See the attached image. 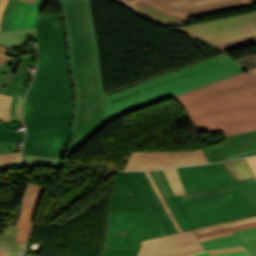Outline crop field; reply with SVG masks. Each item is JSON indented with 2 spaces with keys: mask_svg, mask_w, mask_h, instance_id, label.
<instances>
[{
  "mask_svg": "<svg viewBox=\"0 0 256 256\" xmlns=\"http://www.w3.org/2000/svg\"><path fill=\"white\" fill-rule=\"evenodd\" d=\"M227 141L203 148L209 162L256 154V131L226 137Z\"/></svg>",
  "mask_w": 256,
  "mask_h": 256,
  "instance_id": "12",
  "label": "crop field"
},
{
  "mask_svg": "<svg viewBox=\"0 0 256 256\" xmlns=\"http://www.w3.org/2000/svg\"><path fill=\"white\" fill-rule=\"evenodd\" d=\"M151 177L153 178L154 182L156 183L158 189L160 190L161 194L163 195L165 201L170 200L169 195L157 173V171H149Z\"/></svg>",
  "mask_w": 256,
  "mask_h": 256,
  "instance_id": "32",
  "label": "crop field"
},
{
  "mask_svg": "<svg viewBox=\"0 0 256 256\" xmlns=\"http://www.w3.org/2000/svg\"><path fill=\"white\" fill-rule=\"evenodd\" d=\"M188 118L256 106V78L248 72L174 97Z\"/></svg>",
  "mask_w": 256,
  "mask_h": 256,
  "instance_id": "6",
  "label": "crop field"
},
{
  "mask_svg": "<svg viewBox=\"0 0 256 256\" xmlns=\"http://www.w3.org/2000/svg\"><path fill=\"white\" fill-rule=\"evenodd\" d=\"M146 174H147V176H148V178H149V180H150V182H151V184H152V186H153L155 192L157 193V195H158L160 201L162 202L164 208L166 209V211H167V213L169 214L171 220L173 221L174 225L176 226L178 232H180L181 229H180L179 225L177 224V222H176L174 216L172 215V213H171L170 209L168 208L166 202L164 201L162 195L160 194V192H159V190L157 189L155 183L153 182L152 178L150 177L148 171H146Z\"/></svg>",
  "mask_w": 256,
  "mask_h": 256,
  "instance_id": "31",
  "label": "crop field"
},
{
  "mask_svg": "<svg viewBox=\"0 0 256 256\" xmlns=\"http://www.w3.org/2000/svg\"><path fill=\"white\" fill-rule=\"evenodd\" d=\"M8 0H0V17L3 13L4 6Z\"/></svg>",
  "mask_w": 256,
  "mask_h": 256,
  "instance_id": "44",
  "label": "crop field"
},
{
  "mask_svg": "<svg viewBox=\"0 0 256 256\" xmlns=\"http://www.w3.org/2000/svg\"><path fill=\"white\" fill-rule=\"evenodd\" d=\"M254 221H256V216L246 218V219H239V220H235V221H230V222H226V223H222V224H218V225H214V226H210V227H206V228H202V229H197V230H191V231H185V232H181V233H177V234H172V235L164 236L162 238L145 241L142 244L152 242V241L161 240V239H165V238H169V237H174V236H178V235H182V234H186V233H190V232H194V231L196 232V234H199V233H204V232H208V231H213V230H218V229H222V228L241 225V224H245V223H250V222H254Z\"/></svg>",
  "mask_w": 256,
  "mask_h": 256,
  "instance_id": "22",
  "label": "crop field"
},
{
  "mask_svg": "<svg viewBox=\"0 0 256 256\" xmlns=\"http://www.w3.org/2000/svg\"><path fill=\"white\" fill-rule=\"evenodd\" d=\"M198 132L224 131L225 137L256 130V107L190 119Z\"/></svg>",
  "mask_w": 256,
  "mask_h": 256,
  "instance_id": "9",
  "label": "crop field"
},
{
  "mask_svg": "<svg viewBox=\"0 0 256 256\" xmlns=\"http://www.w3.org/2000/svg\"><path fill=\"white\" fill-rule=\"evenodd\" d=\"M17 122H0V139L24 137L20 132L16 133Z\"/></svg>",
  "mask_w": 256,
  "mask_h": 256,
  "instance_id": "27",
  "label": "crop field"
},
{
  "mask_svg": "<svg viewBox=\"0 0 256 256\" xmlns=\"http://www.w3.org/2000/svg\"><path fill=\"white\" fill-rule=\"evenodd\" d=\"M72 67L75 111L72 132L96 133L108 123L91 0H58Z\"/></svg>",
  "mask_w": 256,
  "mask_h": 256,
  "instance_id": "2",
  "label": "crop field"
},
{
  "mask_svg": "<svg viewBox=\"0 0 256 256\" xmlns=\"http://www.w3.org/2000/svg\"><path fill=\"white\" fill-rule=\"evenodd\" d=\"M20 229L19 227L10 225L5 235L0 234V247L22 253L25 243L15 242Z\"/></svg>",
  "mask_w": 256,
  "mask_h": 256,
  "instance_id": "20",
  "label": "crop field"
},
{
  "mask_svg": "<svg viewBox=\"0 0 256 256\" xmlns=\"http://www.w3.org/2000/svg\"><path fill=\"white\" fill-rule=\"evenodd\" d=\"M130 5L137 13L164 25L190 21L184 17L174 15L154 5H151L143 0L130 2Z\"/></svg>",
  "mask_w": 256,
  "mask_h": 256,
  "instance_id": "17",
  "label": "crop field"
},
{
  "mask_svg": "<svg viewBox=\"0 0 256 256\" xmlns=\"http://www.w3.org/2000/svg\"><path fill=\"white\" fill-rule=\"evenodd\" d=\"M106 248L138 250L141 242L164 236L131 173L114 176Z\"/></svg>",
  "mask_w": 256,
  "mask_h": 256,
  "instance_id": "5",
  "label": "crop field"
},
{
  "mask_svg": "<svg viewBox=\"0 0 256 256\" xmlns=\"http://www.w3.org/2000/svg\"><path fill=\"white\" fill-rule=\"evenodd\" d=\"M21 59L7 60L0 66V92L13 77Z\"/></svg>",
  "mask_w": 256,
  "mask_h": 256,
  "instance_id": "24",
  "label": "crop field"
},
{
  "mask_svg": "<svg viewBox=\"0 0 256 256\" xmlns=\"http://www.w3.org/2000/svg\"><path fill=\"white\" fill-rule=\"evenodd\" d=\"M234 236L203 241L206 251L243 246L250 256H256V228L233 232Z\"/></svg>",
  "mask_w": 256,
  "mask_h": 256,
  "instance_id": "15",
  "label": "crop field"
},
{
  "mask_svg": "<svg viewBox=\"0 0 256 256\" xmlns=\"http://www.w3.org/2000/svg\"><path fill=\"white\" fill-rule=\"evenodd\" d=\"M175 166L173 152H134L125 170H148Z\"/></svg>",
  "mask_w": 256,
  "mask_h": 256,
  "instance_id": "16",
  "label": "crop field"
},
{
  "mask_svg": "<svg viewBox=\"0 0 256 256\" xmlns=\"http://www.w3.org/2000/svg\"><path fill=\"white\" fill-rule=\"evenodd\" d=\"M20 1H24V2H28V3L34 4V2H35L36 0H20Z\"/></svg>",
  "mask_w": 256,
  "mask_h": 256,
  "instance_id": "48",
  "label": "crop field"
},
{
  "mask_svg": "<svg viewBox=\"0 0 256 256\" xmlns=\"http://www.w3.org/2000/svg\"><path fill=\"white\" fill-rule=\"evenodd\" d=\"M231 235H232L231 232L224 233V234H219V235H213V236H208V237L200 238V241L208 240V239H214V238H219V237H225V236H231Z\"/></svg>",
  "mask_w": 256,
  "mask_h": 256,
  "instance_id": "43",
  "label": "crop field"
},
{
  "mask_svg": "<svg viewBox=\"0 0 256 256\" xmlns=\"http://www.w3.org/2000/svg\"><path fill=\"white\" fill-rule=\"evenodd\" d=\"M9 256H20V255L10 252V253H9Z\"/></svg>",
  "mask_w": 256,
  "mask_h": 256,
  "instance_id": "50",
  "label": "crop field"
},
{
  "mask_svg": "<svg viewBox=\"0 0 256 256\" xmlns=\"http://www.w3.org/2000/svg\"><path fill=\"white\" fill-rule=\"evenodd\" d=\"M127 2L131 1V0H126Z\"/></svg>",
  "mask_w": 256,
  "mask_h": 256,
  "instance_id": "52",
  "label": "crop field"
},
{
  "mask_svg": "<svg viewBox=\"0 0 256 256\" xmlns=\"http://www.w3.org/2000/svg\"><path fill=\"white\" fill-rule=\"evenodd\" d=\"M251 202L256 206V179L237 183Z\"/></svg>",
  "mask_w": 256,
  "mask_h": 256,
  "instance_id": "29",
  "label": "crop field"
},
{
  "mask_svg": "<svg viewBox=\"0 0 256 256\" xmlns=\"http://www.w3.org/2000/svg\"><path fill=\"white\" fill-rule=\"evenodd\" d=\"M43 189V186L29 183L23 196L22 205L36 207Z\"/></svg>",
  "mask_w": 256,
  "mask_h": 256,
  "instance_id": "25",
  "label": "crop field"
},
{
  "mask_svg": "<svg viewBox=\"0 0 256 256\" xmlns=\"http://www.w3.org/2000/svg\"><path fill=\"white\" fill-rule=\"evenodd\" d=\"M19 166V163L4 165L5 168Z\"/></svg>",
  "mask_w": 256,
  "mask_h": 256,
  "instance_id": "46",
  "label": "crop field"
},
{
  "mask_svg": "<svg viewBox=\"0 0 256 256\" xmlns=\"http://www.w3.org/2000/svg\"><path fill=\"white\" fill-rule=\"evenodd\" d=\"M132 174L150 211L152 212L163 233L165 235L176 233V228L174 227L172 221L170 220L157 195L155 194L145 172H132Z\"/></svg>",
  "mask_w": 256,
  "mask_h": 256,
  "instance_id": "14",
  "label": "crop field"
},
{
  "mask_svg": "<svg viewBox=\"0 0 256 256\" xmlns=\"http://www.w3.org/2000/svg\"><path fill=\"white\" fill-rule=\"evenodd\" d=\"M24 138L0 140V154L13 152L11 142L23 141Z\"/></svg>",
  "mask_w": 256,
  "mask_h": 256,
  "instance_id": "35",
  "label": "crop field"
},
{
  "mask_svg": "<svg viewBox=\"0 0 256 256\" xmlns=\"http://www.w3.org/2000/svg\"><path fill=\"white\" fill-rule=\"evenodd\" d=\"M8 251L0 249V256H8Z\"/></svg>",
  "mask_w": 256,
  "mask_h": 256,
  "instance_id": "45",
  "label": "crop field"
},
{
  "mask_svg": "<svg viewBox=\"0 0 256 256\" xmlns=\"http://www.w3.org/2000/svg\"><path fill=\"white\" fill-rule=\"evenodd\" d=\"M176 195L185 193L175 168L164 170Z\"/></svg>",
  "mask_w": 256,
  "mask_h": 256,
  "instance_id": "28",
  "label": "crop field"
},
{
  "mask_svg": "<svg viewBox=\"0 0 256 256\" xmlns=\"http://www.w3.org/2000/svg\"><path fill=\"white\" fill-rule=\"evenodd\" d=\"M194 233L141 246L138 256H188L203 252Z\"/></svg>",
  "mask_w": 256,
  "mask_h": 256,
  "instance_id": "13",
  "label": "crop field"
},
{
  "mask_svg": "<svg viewBox=\"0 0 256 256\" xmlns=\"http://www.w3.org/2000/svg\"><path fill=\"white\" fill-rule=\"evenodd\" d=\"M158 172H159V174H160V176H161V178H162V180H163V182H164V184H165V186H166V188H167L169 194H170L171 196H173L174 193H173V191H172V189H171V187H170V185H169V183H168V181H167V179H166V177H165L163 171L160 170V171H158Z\"/></svg>",
  "mask_w": 256,
  "mask_h": 256,
  "instance_id": "40",
  "label": "crop field"
},
{
  "mask_svg": "<svg viewBox=\"0 0 256 256\" xmlns=\"http://www.w3.org/2000/svg\"><path fill=\"white\" fill-rule=\"evenodd\" d=\"M8 51L7 48L0 45V65L4 63L7 59H14L12 56L4 55Z\"/></svg>",
  "mask_w": 256,
  "mask_h": 256,
  "instance_id": "39",
  "label": "crop field"
},
{
  "mask_svg": "<svg viewBox=\"0 0 256 256\" xmlns=\"http://www.w3.org/2000/svg\"><path fill=\"white\" fill-rule=\"evenodd\" d=\"M21 152L0 155V165L19 162Z\"/></svg>",
  "mask_w": 256,
  "mask_h": 256,
  "instance_id": "36",
  "label": "crop field"
},
{
  "mask_svg": "<svg viewBox=\"0 0 256 256\" xmlns=\"http://www.w3.org/2000/svg\"><path fill=\"white\" fill-rule=\"evenodd\" d=\"M247 4L255 3L256 0H245Z\"/></svg>",
  "mask_w": 256,
  "mask_h": 256,
  "instance_id": "49",
  "label": "crop field"
},
{
  "mask_svg": "<svg viewBox=\"0 0 256 256\" xmlns=\"http://www.w3.org/2000/svg\"><path fill=\"white\" fill-rule=\"evenodd\" d=\"M175 163L178 165L207 163L208 160L202 149L196 151L174 152Z\"/></svg>",
  "mask_w": 256,
  "mask_h": 256,
  "instance_id": "21",
  "label": "crop field"
},
{
  "mask_svg": "<svg viewBox=\"0 0 256 256\" xmlns=\"http://www.w3.org/2000/svg\"><path fill=\"white\" fill-rule=\"evenodd\" d=\"M47 0H37L34 5L9 0L1 18V31L36 28L40 11Z\"/></svg>",
  "mask_w": 256,
  "mask_h": 256,
  "instance_id": "11",
  "label": "crop field"
},
{
  "mask_svg": "<svg viewBox=\"0 0 256 256\" xmlns=\"http://www.w3.org/2000/svg\"><path fill=\"white\" fill-rule=\"evenodd\" d=\"M32 38H35V30L0 33V44L10 49L6 55L22 58L16 74L1 92L2 94L14 96L11 102V121H14V109L16 101L18 97L24 98L33 77V74L24 73L25 67L26 65L34 67L37 65L36 62L32 61L35 55L31 53L21 56L15 53L13 48H19L26 45L28 39Z\"/></svg>",
  "mask_w": 256,
  "mask_h": 256,
  "instance_id": "8",
  "label": "crop field"
},
{
  "mask_svg": "<svg viewBox=\"0 0 256 256\" xmlns=\"http://www.w3.org/2000/svg\"><path fill=\"white\" fill-rule=\"evenodd\" d=\"M186 18L237 9L246 6L244 0H145Z\"/></svg>",
  "mask_w": 256,
  "mask_h": 256,
  "instance_id": "10",
  "label": "crop field"
},
{
  "mask_svg": "<svg viewBox=\"0 0 256 256\" xmlns=\"http://www.w3.org/2000/svg\"><path fill=\"white\" fill-rule=\"evenodd\" d=\"M251 227H256V222L241 225V226H236V227H232V228L222 229V230H218V231L208 232V233H204V234H199L197 236H198V238H200V237H204V236H208V235L224 233V232H229V231H234V230H239V229H245V228H251Z\"/></svg>",
  "mask_w": 256,
  "mask_h": 256,
  "instance_id": "33",
  "label": "crop field"
},
{
  "mask_svg": "<svg viewBox=\"0 0 256 256\" xmlns=\"http://www.w3.org/2000/svg\"><path fill=\"white\" fill-rule=\"evenodd\" d=\"M244 255H248L246 253V251L234 252V253L223 254V255H214V256H244ZM193 256H209V255L207 254V252H203V253L196 254V255H193Z\"/></svg>",
  "mask_w": 256,
  "mask_h": 256,
  "instance_id": "38",
  "label": "crop field"
},
{
  "mask_svg": "<svg viewBox=\"0 0 256 256\" xmlns=\"http://www.w3.org/2000/svg\"><path fill=\"white\" fill-rule=\"evenodd\" d=\"M60 159L23 155L22 165H58Z\"/></svg>",
  "mask_w": 256,
  "mask_h": 256,
  "instance_id": "26",
  "label": "crop field"
},
{
  "mask_svg": "<svg viewBox=\"0 0 256 256\" xmlns=\"http://www.w3.org/2000/svg\"><path fill=\"white\" fill-rule=\"evenodd\" d=\"M137 251L106 249L103 256H135Z\"/></svg>",
  "mask_w": 256,
  "mask_h": 256,
  "instance_id": "34",
  "label": "crop field"
},
{
  "mask_svg": "<svg viewBox=\"0 0 256 256\" xmlns=\"http://www.w3.org/2000/svg\"><path fill=\"white\" fill-rule=\"evenodd\" d=\"M33 207L22 206V214L16 226L22 227L16 241L25 242L35 213Z\"/></svg>",
  "mask_w": 256,
  "mask_h": 256,
  "instance_id": "23",
  "label": "crop field"
},
{
  "mask_svg": "<svg viewBox=\"0 0 256 256\" xmlns=\"http://www.w3.org/2000/svg\"><path fill=\"white\" fill-rule=\"evenodd\" d=\"M37 44L40 63L23 111L27 128L23 154L62 158L73 112L60 15L41 14Z\"/></svg>",
  "mask_w": 256,
  "mask_h": 256,
  "instance_id": "1",
  "label": "crop field"
},
{
  "mask_svg": "<svg viewBox=\"0 0 256 256\" xmlns=\"http://www.w3.org/2000/svg\"><path fill=\"white\" fill-rule=\"evenodd\" d=\"M241 250H244V249H242V248H235V249H227V250H219V251H210L208 253H209V255H213V254L230 253V252L241 251Z\"/></svg>",
  "mask_w": 256,
  "mask_h": 256,
  "instance_id": "41",
  "label": "crop field"
},
{
  "mask_svg": "<svg viewBox=\"0 0 256 256\" xmlns=\"http://www.w3.org/2000/svg\"><path fill=\"white\" fill-rule=\"evenodd\" d=\"M256 177V156L247 158ZM249 165V166H250Z\"/></svg>",
  "mask_w": 256,
  "mask_h": 256,
  "instance_id": "42",
  "label": "crop field"
},
{
  "mask_svg": "<svg viewBox=\"0 0 256 256\" xmlns=\"http://www.w3.org/2000/svg\"><path fill=\"white\" fill-rule=\"evenodd\" d=\"M113 1H116V2H118V3L127 7V5L125 4V2L123 0H113Z\"/></svg>",
  "mask_w": 256,
  "mask_h": 256,
  "instance_id": "47",
  "label": "crop field"
},
{
  "mask_svg": "<svg viewBox=\"0 0 256 256\" xmlns=\"http://www.w3.org/2000/svg\"><path fill=\"white\" fill-rule=\"evenodd\" d=\"M251 72H253L256 75V69L251 70Z\"/></svg>",
  "mask_w": 256,
  "mask_h": 256,
  "instance_id": "51",
  "label": "crop field"
},
{
  "mask_svg": "<svg viewBox=\"0 0 256 256\" xmlns=\"http://www.w3.org/2000/svg\"><path fill=\"white\" fill-rule=\"evenodd\" d=\"M172 201L167 202L182 231L197 229L198 226L192 218L180 196L171 197Z\"/></svg>",
  "mask_w": 256,
  "mask_h": 256,
  "instance_id": "18",
  "label": "crop field"
},
{
  "mask_svg": "<svg viewBox=\"0 0 256 256\" xmlns=\"http://www.w3.org/2000/svg\"><path fill=\"white\" fill-rule=\"evenodd\" d=\"M223 165L235 182L255 178L246 158L224 162Z\"/></svg>",
  "mask_w": 256,
  "mask_h": 256,
  "instance_id": "19",
  "label": "crop field"
},
{
  "mask_svg": "<svg viewBox=\"0 0 256 256\" xmlns=\"http://www.w3.org/2000/svg\"><path fill=\"white\" fill-rule=\"evenodd\" d=\"M176 29L214 45L254 38L256 37V12L191 24Z\"/></svg>",
  "mask_w": 256,
  "mask_h": 256,
  "instance_id": "7",
  "label": "crop field"
},
{
  "mask_svg": "<svg viewBox=\"0 0 256 256\" xmlns=\"http://www.w3.org/2000/svg\"><path fill=\"white\" fill-rule=\"evenodd\" d=\"M176 169L186 192L181 196L199 228L256 215L222 163Z\"/></svg>",
  "mask_w": 256,
  "mask_h": 256,
  "instance_id": "3",
  "label": "crop field"
},
{
  "mask_svg": "<svg viewBox=\"0 0 256 256\" xmlns=\"http://www.w3.org/2000/svg\"><path fill=\"white\" fill-rule=\"evenodd\" d=\"M243 68V67H242ZM224 54L106 95L109 121L163 99L244 71Z\"/></svg>",
  "mask_w": 256,
  "mask_h": 256,
  "instance_id": "4",
  "label": "crop field"
},
{
  "mask_svg": "<svg viewBox=\"0 0 256 256\" xmlns=\"http://www.w3.org/2000/svg\"><path fill=\"white\" fill-rule=\"evenodd\" d=\"M12 98L0 94V121H10V102Z\"/></svg>",
  "mask_w": 256,
  "mask_h": 256,
  "instance_id": "30",
  "label": "crop field"
},
{
  "mask_svg": "<svg viewBox=\"0 0 256 256\" xmlns=\"http://www.w3.org/2000/svg\"><path fill=\"white\" fill-rule=\"evenodd\" d=\"M24 99L19 98L15 109V120H22V103Z\"/></svg>",
  "mask_w": 256,
  "mask_h": 256,
  "instance_id": "37",
  "label": "crop field"
}]
</instances>
